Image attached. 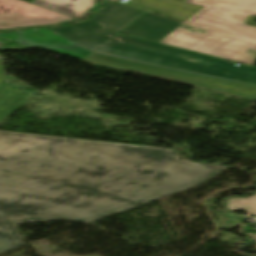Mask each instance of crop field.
<instances>
[{"label": "crop field", "mask_w": 256, "mask_h": 256, "mask_svg": "<svg viewBox=\"0 0 256 256\" xmlns=\"http://www.w3.org/2000/svg\"><path fill=\"white\" fill-rule=\"evenodd\" d=\"M4 82V74H3V68H2V61L0 58V84Z\"/></svg>", "instance_id": "15"}, {"label": "crop field", "mask_w": 256, "mask_h": 256, "mask_svg": "<svg viewBox=\"0 0 256 256\" xmlns=\"http://www.w3.org/2000/svg\"><path fill=\"white\" fill-rule=\"evenodd\" d=\"M227 207L230 211L245 210L256 215V195L248 199L229 198Z\"/></svg>", "instance_id": "13"}, {"label": "crop field", "mask_w": 256, "mask_h": 256, "mask_svg": "<svg viewBox=\"0 0 256 256\" xmlns=\"http://www.w3.org/2000/svg\"><path fill=\"white\" fill-rule=\"evenodd\" d=\"M84 60L150 77L187 83L207 90L256 101L255 85L204 77L172 69L110 57L95 52L90 54Z\"/></svg>", "instance_id": "4"}, {"label": "crop field", "mask_w": 256, "mask_h": 256, "mask_svg": "<svg viewBox=\"0 0 256 256\" xmlns=\"http://www.w3.org/2000/svg\"><path fill=\"white\" fill-rule=\"evenodd\" d=\"M58 36L46 29H31L27 31L0 34V37L17 40L37 48L81 59H84L92 52Z\"/></svg>", "instance_id": "7"}, {"label": "crop field", "mask_w": 256, "mask_h": 256, "mask_svg": "<svg viewBox=\"0 0 256 256\" xmlns=\"http://www.w3.org/2000/svg\"><path fill=\"white\" fill-rule=\"evenodd\" d=\"M225 216L227 218H229L231 220V222L226 224L224 227H226V226H228V225H230L232 223L239 222V221H241V220L246 218V217H242V216H240L238 214H234V213H225Z\"/></svg>", "instance_id": "14"}, {"label": "crop field", "mask_w": 256, "mask_h": 256, "mask_svg": "<svg viewBox=\"0 0 256 256\" xmlns=\"http://www.w3.org/2000/svg\"><path fill=\"white\" fill-rule=\"evenodd\" d=\"M77 20L20 0H0V30Z\"/></svg>", "instance_id": "6"}, {"label": "crop field", "mask_w": 256, "mask_h": 256, "mask_svg": "<svg viewBox=\"0 0 256 256\" xmlns=\"http://www.w3.org/2000/svg\"><path fill=\"white\" fill-rule=\"evenodd\" d=\"M98 52L256 84V67L131 36L116 35ZM234 64H240L239 67Z\"/></svg>", "instance_id": "3"}, {"label": "crop field", "mask_w": 256, "mask_h": 256, "mask_svg": "<svg viewBox=\"0 0 256 256\" xmlns=\"http://www.w3.org/2000/svg\"><path fill=\"white\" fill-rule=\"evenodd\" d=\"M185 0H134L130 5L185 22L203 7Z\"/></svg>", "instance_id": "9"}, {"label": "crop field", "mask_w": 256, "mask_h": 256, "mask_svg": "<svg viewBox=\"0 0 256 256\" xmlns=\"http://www.w3.org/2000/svg\"><path fill=\"white\" fill-rule=\"evenodd\" d=\"M205 6L184 24L208 31L197 34L181 27L160 43L207 53L225 59L253 65L246 53L256 50V27L243 23L250 14L256 15V0H186Z\"/></svg>", "instance_id": "2"}, {"label": "crop field", "mask_w": 256, "mask_h": 256, "mask_svg": "<svg viewBox=\"0 0 256 256\" xmlns=\"http://www.w3.org/2000/svg\"><path fill=\"white\" fill-rule=\"evenodd\" d=\"M20 236L9 217L0 213V253L24 245Z\"/></svg>", "instance_id": "12"}, {"label": "crop field", "mask_w": 256, "mask_h": 256, "mask_svg": "<svg viewBox=\"0 0 256 256\" xmlns=\"http://www.w3.org/2000/svg\"><path fill=\"white\" fill-rule=\"evenodd\" d=\"M251 238H253L254 240H256V235L252 236Z\"/></svg>", "instance_id": "16"}, {"label": "crop field", "mask_w": 256, "mask_h": 256, "mask_svg": "<svg viewBox=\"0 0 256 256\" xmlns=\"http://www.w3.org/2000/svg\"><path fill=\"white\" fill-rule=\"evenodd\" d=\"M143 12L142 10L107 0L104 8L85 23L60 26L52 30L95 51Z\"/></svg>", "instance_id": "5"}, {"label": "crop field", "mask_w": 256, "mask_h": 256, "mask_svg": "<svg viewBox=\"0 0 256 256\" xmlns=\"http://www.w3.org/2000/svg\"><path fill=\"white\" fill-rule=\"evenodd\" d=\"M219 164L159 148L0 131V212L13 223H88L196 186L226 168Z\"/></svg>", "instance_id": "1"}, {"label": "crop field", "mask_w": 256, "mask_h": 256, "mask_svg": "<svg viewBox=\"0 0 256 256\" xmlns=\"http://www.w3.org/2000/svg\"><path fill=\"white\" fill-rule=\"evenodd\" d=\"M182 23L145 12L121 33L159 42Z\"/></svg>", "instance_id": "8"}, {"label": "crop field", "mask_w": 256, "mask_h": 256, "mask_svg": "<svg viewBox=\"0 0 256 256\" xmlns=\"http://www.w3.org/2000/svg\"><path fill=\"white\" fill-rule=\"evenodd\" d=\"M32 3L80 20L97 6L96 0H35Z\"/></svg>", "instance_id": "10"}, {"label": "crop field", "mask_w": 256, "mask_h": 256, "mask_svg": "<svg viewBox=\"0 0 256 256\" xmlns=\"http://www.w3.org/2000/svg\"><path fill=\"white\" fill-rule=\"evenodd\" d=\"M33 95L25 93L11 83L0 85V121L30 100Z\"/></svg>", "instance_id": "11"}]
</instances>
